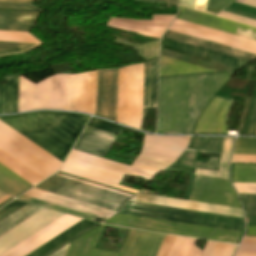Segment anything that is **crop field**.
I'll return each mask as SVG.
<instances>
[{
  "label": "crop field",
  "instance_id": "obj_1",
  "mask_svg": "<svg viewBox=\"0 0 256 256\" xmlns=\"http://www.w3.org/2000/svg\"><path fill=\"white\" fill-rule=\"evenodd\" d=\"M231 74L160 80L157 134H191L195 120Z\"/></svg>",
  "mask_w": 256,
  "mask_h": 256
},
{
  "label": "crop field",
  "instance_id": "obj_2",
  "mask_svg": "<svg viewBox=\"0 0 256 256\" xmlns=\"http://www.w3.org/2000/svg\"><path fill=\"white\" fill-rule=\"evenodd\" d=\"M89 116L67 112H32L0 120L63 162Z\"/></svg>",
  "mask_w": 256,
  "mask_h": 256
},
{
  "label": "crop field",
  "instance_id": "obj_3",
  "mask_svg": "<svg viewBox=\"0 0 256 256\" xmlns=\"http://www.w3.org/2000/svg\"><path fill=\"white\" fill-rule=\"evenodd\" d=\"M103 229L99 225L71 242L65 256H124L136 230H129L119 253H115L94 249ZM165 236L138 230L126 256H156Z\"/></svg>",
  "mask_w": 256,
  "mask_h": 256
},
{
  "label": "crop field",
  "instance_id": "obj_4",
  "mask_svg": "<svg viewBox=\"0 0 256 256\" xmlns=\"http://www.w3.org/2000/svg\"><path fill=\"white\" fill-rule=\"evenodd\" d=\"M0 151L43 180L57 171L62 163L2 121Z\"/></svg>",
  "mask_w": 256,
  "mask_h": 256
},
{
  "label": "crop field",
  "instance_id": "obj_5",
  "mask_svg": "<svg viewBox=\"0 0 256 256\" xmlns=\"http://www.w3.org/2000/svg\"><path fill=\"white\" fill-rule=\"evenodd\" d=\"M107 224L236 244L240 232L117 213Z\"/></svg>",
  "mask_w": 256,
  "mask_h": 256
},
{
  "label": "crop field",
  "instance_id": "obj_6",
  "mask_svg": "<svg viewBox=\"0 0 256 256\" xmlns=\"http://www.w3.org/2000/svg\"><path fill=\"white\" fill-rule=\"evenodd\" d=\"M68 75L57 74L36 85L20 76L18 112L66 110Z\"/></svg>",
  "mask_w": 256,
  "mask_h": 256
},
{
  "label": "crop field",
  "instance_id": "obj_7",
  "mask_svg": "<svg viewBox=\"0 0 256 256\" xmlns=\"http://www.w3.org/2000/svg\"><path fill=\"white\" fill-rule=\"evenodd\" d=\"M121 213L193 223L225 229L244 230L243 219L128 202Z\"/></svg>",
  "mask_w": 256,
  "mask_h": 256
},
{
  "label": "crop field",
  "instance_id": "obj_8",
  "mask_svg": "<svg viewBox=\"0 0 256 256\" xmlns=\"http://www.w3.org/2000/svg\"><path fill=\"white\" fill-rule=\"evenodd\" d=\"M35 188L116 211L120 210L125 202L130 198L55 175Z\"/></svg>",
  "mask_w": 256,
  "mask_h": 256
},
{
  "label": "crop field",
  "instance_id": "obj_9",
  "mask_svg": "<svg viewBox=\"0 0 256 256\" xmlns=\"http://www.w3.org/2000/svg\"><path fill=\"white\" fill-rule=\"evenodd\" d=\"M69 158L113 170L119 173L151 180L172 161L139 155L131 167L72 150Z\"/></svg>",
  "mask_w": 256,
  "mask_h": 256
},
{
  "label": "crop field",
  "instance_id": "obj_10",
  "mask_svg": "<svg viewBox=\"0 0 256 256\" xmlns=\"http://www.w3.org/2000/svg\"><path fill=\"white\" fill-rule=\"evenodd\" d=\"M188 200L241 208L230 182L226 180L196 176Z\"/></svg>",
  "mask_w": 256,
  "mask_h": 256
},
{
  "label": "crop field",
  "instance_id": "obj_11",
  "mask_svg": "<svg viewBox=\"0 0 256 256\" xmlns=\"http://www.w3.org/2000/svg\"><path fill=\"white\" fill-rule=\"evenodd\" d=\"M144 63L127 67L125 125L141 131Z\"/></svg>",
  "mask_w": 256,
  "mask_h": 256
},
{
  "label": "crop field",
  "instance_id": "obj_12",
  "mask_svg": "<svg viewBox=\"0 0 256 256\" xmlns=\"http://www.w3.org/2000/svg\"><path fill=\"white\" fill-rule=\"evenodd\" d=\"M96 71L69 75L67 110L94 115Z\"/></svg>",
  "mask_w": 256,
  "mask_h": 256
},
{
  "label": "crop field",
  "instance_id": "obj_13",
  "mask_svg": "<svg viewBox=\"0 0 256 256\" xmlns=\"http://www.w3.org/2000/svg\"><path fill=\"white\" fill-rule=\"evenodd\" d=\"M118 69L97 71L95 115L116 122Z\"/></svg>",
  "mask_w": 256,
  "mask_h": 256
},
{
  "label": "crop field",
  "instance_id": "obj_14",
  "mask_svg": "<svg viewBox=\"0 0 256 256\" xmlns=\"http://www.w3.org/2000/svg\"><path fill=\"white\" fill-rule=\"evenodd\" d=\"M177 19L256 41V28L179 7Z\"/></svg>",
  "mask_w": 256,
  "mask_h": 256
},
{
  "label": "crop field",
  "instance_id": "obj_15",
  "mask_svg": "<svg viewBox=\"0 0 256 256\" xmlns=\"http://www.w3.org/2000/svg\"><path fill=\"white\" fill-rule=\"evenodd\" d=\"M130 201L243 218L242 211L238 208L204 204L186 200L137 194Z\"/></svg>",
  "mask_w": 256,
  "mask_h": 256
},
{
  "label": "crop field",
  "instance_id": "obj_16",
  "mask_svg": "<svg viewBox=\"0 0 256 256\" xmlns=\"http://www.w3.org/2000/svg\"><path fill=\"white\" fill-rule=\"evenodd\" d=\"M233 102L232 99L214 97L201 114L193 133L226 134L225 115Z\"/></svg>",
  "mask_w": 256,
  "mask_h": 256
},
{
  "label": "crop field",
  "instance_id": "obj_17",
  "mask_svg": "<svg viewBox=\"0 0 256 256\" xmlns=\"http://www.w3.org/2000/svg\"><path fill=\"white\" fill-rule=\"evenodd\" d=\"M188 138L145 135L141 154L175 161L186 148Z\"/></svg>",
  "mask_w": 256,
  "mask_h": 256
},
{
  "label": "crop field",
  "instance_id": "obj_18",
  "mask_svg": "<svg viewBox=\"0 0 256 256\" xmlns=\"http://www.w3.org/2000/svg\"><path fill=\"white\" fill-rule=\"evenodd\" d=\"M174 16L175 15L153 16L152 21L111 18L107 26L159 38Z\"/></svg>",
  "mask_w": 256,
  "mask_h": 256
},
{
  "label": "crop field",
  "instance_id": "obj_19",
  "mask_svg": "<svg viewBox=\"0 0 256 256\" xmlns=\"http://www.w3.org/2000/svg\"><path fill=\"white\" fill-rule=\"evenodd\" d=\"M79 220L80 218L66 215L2 256H25Z\"/></svg>",
  "mask_w": 256,
  "mask_h": 256
},
{
  "label": "crop field",
  "instance_id": "obj_20",
  "mask_svg": "<svg viewBox=\"0 0 256 256\" xmlns=\"http://www.w3.org/2000/svg\"><path fill=\"white\" fill-rule=\"evenodd\" d=\"M23 195H27V196H30V197H33V198L44 200V201H47V202H50V203L61 205V206L67 207V208L78 210V211L88 213V214H91V215H95V216L105 218V219L109 218L114 213H116V211H112V210H109V209H105V208H102V207H98V206H95V205H91V204H88V203H84V202H81V201H77V200H74V199H70V198H67V197H63V196H60V195H56V194L49 193V192H46V191H42V190L35 189V188L27 191Z\"/></svg>",
  "mask_w": 256,
  "mask_h": 256
},
{
  "label": "crop field",
  "instance_id": "obj_21",
  "mask_svg": "<svg viewBox=\"0 0 256 256\" xmlns=\"http://www.w3.org/2000/svg\"><path fill=\"white\" fill-rule=\"evenodd\" d=\"M96 225L97 223L82 219L26 256H48Z\"/></svg>",
  "mask_w": 256,
  "mask_h": 256
},
{
  "label": "crop field",
  "instance_id": "obj_22",
  "mask_svg": "<svg viewBox=\"0 0 256 256\" xmlns=\"http://www.w3.org/2000/svg\"><path fill=\"white\" fill-rule=\"evenodd\" d=\"M161 47L203 60L206 59L208 54H211V62H215L236 69H238L241 65H243L246 62L164 38L161 39Z\"/></svg>",
  "mask_w": 256,
  "mask_h": 256
},
{
  "label": "crop field",
  "instance_id": "obj_23",
  "mask_svg": "<svg viewBox=\"0 0 256 256\" xmlns=\"http://www.w3.org/2000/svg\"><path fill=\"white\" fill-rule=\"evenodd\" d=\"M41 12L0 8V30L28 32Z\"/></svg>",
  "mask_w": 256,
  "mask_h": 256
},
{
  "label": "crop field",
  "instance_id": "obj_24",
  "mask_svg": "<svg viewBox=\"0 0 256 256\" xmlns=\"http://www.w3.org/2000/svg\"><path fill=\"white\" fill-rule=\"evenodd\" d=\"M164 38H168V39L175 40L178 42L186 43L189 45H193L196 47H200L203 49H207L210 51H214L217 53L232 56V57L239 58V59L246 60V61L256 57V55L252 54V53L244 52L241 50H237L234 48L219 45L216 43L201 40L198 38H194L191 36H187V35L176 33V32L169 31V30H167L166 34L164 35Z\"/></svg>",
  "mask_w": 256,
  "mask_h": 256
},
{
  "label": "crop field",
  "instance_id": "obj_25",
  "mask_svg": "<svg viewBox=\"0 0 256 256\" xmlns=\"http://www.w3.org/2000/svg\"><path fill=\"white\" fill-rule=\"evenodd\" d=\"M158 60L145 63L143 108H156Z\"/></svg>",
  "mask_w": 256,
  "mask_h": 256
},
{
  "label": "crop field",
  "instance_id": "obj_26",
  "mask_svg": "<svg viewBox=\"0 0 256 256\" xmlns=\"http://www.w3.org/2000/svg\"><path fill=\"white\" fill-rule=\"evenodd\" d=\"M112 141L82 133L74 150L104 158Z\"/></svg>",
  "mask_w": 256,
  "mask_h": 256
},
{
  "label": "crop field",
  "instance_id": "obj_27",
  "mask_svg": "<svg viewBox=\"0 0 256 256\" xmlns=\"http://www.w3.org/2000/svg\"><path fill=\"white\" fill-rule=\"evenodd\" d=\"M202 72L214 71L161 56L160 76Z\"/></svg>",
  "mask_w": 256,
  "mask_h": 256
},
{
  "label": "crop field",
  "instance_id": "obj_28",
  "mask_svg": "<svg viewBox=\"0 0 256 256\" xmlns=\"http://www.w3.org/2000/svg\"><path fill=\"white\" fill-rule=\"evenodd\" d=\"M30 186V184L0 165V188L5 192L14 197Z\"/></svg>",
  "mask_w": 256,
  "mask_h": 256
},
{
  "label": "crop field",
  "instance_id": "obj_29",
  "mask_svg": "<svg viewBox=\"0 0 256 256\" xmlns=\"http://www.w3.org/2000/svg\"><path fill=\"white\" fill-rule=\"evenodd\" d=\"M234 154H256V138H236ZM232 162L256 163V155H234Z\"/></svg>",
  "mask_w": 256,
  "mask_h": 256
},
{
  "label": "crop field",
  "instance_id": "obj_30",
  "mask_svg": "<svg viewBox=\"0 0 256 256\" xmlns=\"http://www.w3.org/2000/svg\"><path fill=\"white\" fill-rule=\"evenodd\" d=\"M222 137H192L186 151L220 154Z\"/></svg>",
  "mask_w": 256,
  "mask_h": 256
},
{
  "label": "crop field",
  "instance_id": "obj_31",
  "mask_svg": "<svg viewBox=\"0 0 256 256\" xmlns=\"http://www.w3.org/2000/svg\"><path fill=\"white\" fill-rule=\"evenodd\" d=\"M41 209L42 207H38L30 204L21 208L20 210H18L17 212H15L11 216L7 217L6 219L0 222V235L5 233L6 231H8L12 227L19 224L20 222H22L23 220L30 217L31 215H33L34 213H36Z\"/></svg>",
  "mask_w": 256,
  "mask_h": 256
},
{
  "label": "crop field",
  "instance_id": "obj_32",
  "mask_svg": "<svg viewBox=\"0 0 256 256\" xmlns=\"http://www.w3.org/2000/svg\"><path fill=\"white\" fill-rule=\"evenodd\" d=\"M0 163L13 171L15 174L32 184L33 186L38 184L39 182L43 181L34 174H32L30 171L7 157L5 154L0 152Z\"/></svg>",
  "mask_w": 256,
  "mask_h": 256
},
{
  "label": "crop field",
  "instance_id": "obj_33",
  "mask_svg": "<svg viewBox=\"0 0 256 256\" xmlns=\"http://www.w3.org/2000/svg\"><path fill=\"white\" fill-rule=\"evenodd\" d=\"M232 177L234 182L256 183V165L233 164Z\"/></svg>",
  "mask_w": 256,
  "mask_h": 256
},
{
  "label": "crop field",
  "instance_id": "obj_34",
  "mask_svg": "<svg viewBox=\"0 0 256 256\" xmlns=\"http://www.w3.org/2000/svg\"><path fill=\"white\" fill-rule=\"evenodd\" d=\"M19 76L6 84L4 114L17 112Z\"/></svg>",
  "mask_w": 256,
  "mask_h": 256
},
{
  "label": "crop field",
  "instance_id": "obj_35",
  "mask_svg": "<svg viewBox=\"0 0 256 256\" xmlns=\"http://www.w3.org/2000/svg\"><path fill=\"white\" fill-rule=\"evenodd\" d=\"M236 245L208 241L201 256H232Z\"/></svg>",
  "mask_w": 256,
  "mask_h": 256
},
{
  "label": "crop field",
  "instance_id": "obj_36",
  "mask_svg": "<svg viewBox=\"0 0 256 256\" xmlns=\"http://www.w3.org/2000/svg\"><path fill=\"white\" fill-rule=\"evenodd\" d=\"M126 67L119 69L117 122L124 125Z\"/></svg>",
  "mask_w": 256,
  "mask_h": 256
},
{
  "label": "crop field",
  "instance_id": "obj_37",
  "mask_svg": "<svg viewBox=\"0 0 256 256\" xmlns=\"http://www.w3.org/2000/svg\"><path fill=\"white\" fill-rule=\"evenodd\" d=\"M231 2H233V0H208L207 4V0H196L194 9L215 15V13L219 12L221 9L229 5ZM205 8L207 11L215 13L207 12L205 11Z\"/></svg>",
  "mask_w": 256,
  "mask_h": 256
},
{
  "label": "crop field",
  "instance_id": "obj_38",
  "mask_svg": "<svg viewBox=\"0 0 256 256\" xmlns=\"http://www.w3.org/2000/svg\"><path fill=\"white\" fill-rule=\"evenodd\" d=\"M235 3H239V4H243V5H247V6H251V7L256 8V0H237V1H235ZM216 16L224 18V19H228V20H231V21L239 22V23H242V24H246V25H249V26L256 27V20H252V19H249V18H245V17H242V16L231 14V13H228V12L222 11Z\"/></svg>",
  "mask_w": 256,
  "mask_h": 256
},
{
  "label": "crop field",
  "instance_id": "obj_39",
  "mask_svg": "<svg viewBox=\"0 0 256 256\" xmlns=\"http://www.w3.org/2000/svg\"><path fill=\"white\" fill-rule=\"evenodd\" d=\"M0 41L42 44L28 33L0 31Z\"/></svg>",
  "mask_w": 256,
  "mask_h": 256
},
{
  "label": "crop field",
  "instance_id": "obj_40",
  "mask_svg": "<svg viewBox=\"0 0 256 256\" xmlns=\"http://www.w3.org/2000/svg\"><path fill=\"white\" fill-rule=\"evenodd\" d=\"M233 137H223L222 150L218 171L228 173V165L231 153Z\"/></svg>",
  "mask_w": 256,
  "mask_h": 256
},
{
  "label": "crop field",
  "instance_id": "obj_41",
  "mask_svg": "<svg viewBox=\"0 0 256 256\" xmlns=\"http://www.w3.org/2000/svg\"><path fill=\"white\" fill-rule=\"evenodd\" d=\"M39 45L0 42V56L29 51Z\"/></svg>",
  "mask_w": 256,
  "mask_h": 256
},
{
  "label": "crop field",
  "instance_id": "obj_42",
  "mask_svg": "<svg viewBox=\"0 0 256 256\" xmlns=\"http://www.w3.org/2000/svg\"><path fill=\"white\" fill-rule=\"evenodd\" d=\"M158 47H159V40L135 47L133 49L138 52L136 55L148 61V60L158 58Z\"/></svg>",
  "mask_w": 256,
  "mask_h": 256
},
{
  "label": "crop field",
  "instance_id": "obj_43",
  "mask_svg": "<svg viewBox=\"0 0 256 256\" xmlns=\"http://www.w3.org/2000/svg\"><path fill=\"white\" fill-rule=\"evenodd\" d=\"M236 256H256V237H244Z\"/></svg>",
  "mask_w": 256,
  "mask_h": 256
},
{
  "label": "crop field",
  "instance_id": "obj_44",
  "mask_svg": "<svg viewBox=\"0 0 256 256\" xmlns=\"http://www.w3.org/2000/svg\"><path fill=\"white\" fill-rule=\"evenodd\" d=\"M88 127L100 129V130L115 133V134H117L122 129V126H119L110 122H106L94 117L88 124Z\"/></svg>",
  "mask_w": 256,
  "mask_h": 256
},
{
  "label": "crop field",
  "instance_id": "obj_45",
  "mask_svg": "<svg viewBox=\"0 0 256 256\" xmlns=\"http://www.w3.org/2000/svg\"><path fill=\"white\" fill-rule=\"evenodd\" d=\"M19 199H23V200H26V201H29V202H32V203H35V204H38V205L46 206V207L57 209V210H60V211L68 212V213L80 216L82 218H85V219H88V220H91V221H93V219H94V216L83 214V213H80V212H77V211H73V210H70V209L59 207V206L49 204V203H46V202H42V201H39V200H35V199L29 198V197L22 196Z\"/></svg>",
  "mask_w": 256,
  "mask_h": 256
},
{
  "label": "crop field",
  "instance_id": "obj_46",
  "mask_svg": "<svg viewBox=\"0 0 256 256\" xmlns=\"http://www.w3.org/2000/svg\"><path fill=\"white\" fill-rule=\"evenodd\" d=\"M245 215H256V195L254 194H239Z\"/></svg>",
  "mask_w": 256,
  "mask_h": 256
},
{
  "label": "crop field",
  "instance_id": "obj_47",
  "mask_svg": "<svg viewBox=\"0 0 256 256\" xmlns=\"http://www.w3.org/2000/svg\"><path fill=\"white\" fill-rule=\"evenodd\" d=\"M196 239L186 238L178 256H200L202 251L194 246Z\"/></svg>",
  "mask_w": 256,
  "mask_h": 256
},
{
  "label": "crop field",
  "instance_id": "obj_48",
  "mask_svg": "<svg viewBox=\"0 0 256 256\" xmlns=\"http://www.w3.org/2000/svg\"><path fill=\"white\" fill-rule=\"evenodd\" d=\"M26 204L27 203L18 200H14L11 203L7 204L6 206L0 209V221L14 213L21 207L25 206Z\"/></svg>",
  "mask_w": 256,
  "mask_h": 256
},
{
  "label": "crop field",
  "instance_id": "obj_49",
  "mask_svg": "<svg viewBox=\"0 0 256 256\" xmlns=\"http://www.w3.org/2000/svg\"><path fill=\"white\" fill-rule=\"evenodd\" d=\"M238 193H256V184L233 183Z\"/></svg>",
  "mask_w": 256,
  "mask_h": 256
},
{
  "label": "crop field",
  "instance_id": "obj_50",
  "mask_svg": "<svg viewBox=\"0 0 256 256\" xmlns=\"http://www.w3.org/2000/svg\"><path fill=\"white\" fill-rule=\"evenodd\" d=\"M195 175L228 180V174L219 173V172H212V171H206V170H200V169L196 170V174Z\"/></svg>",
  "mask_w": 256,
  "mask_h": 256
},
{
  "label": "crop field",
  "instance_id": "obj_51",
  "mask_svg": "<svg viewBox=\"0 0 256 256\" xmlns=\"http://www.w3.org/2000/svg\"><path fill=\"white\" fill-rule=\"evenodd\" d=\"M84 133H88V134L95 135V136L112 140V141H114V139L116 138V135H112V134L105 133V132L88 128V127H86V129L84 130Z\"/></svg>",
  "mask_w": 256,
  "mask_h": 256
},
{
  "label": "crop field",
  "instance_id": "obj_52",
  "mask_svg": "<svg viewBox=\"0 0 256 256\" xmlns=\"http://www.w3.org/2000/svg\"><path fill=\"white\" fill-rule=\"evenodd\" d=\"M174 238L175 237H171V236L166 237L158 256H167V253L171 247V244H172Z\"/></svg>",
  "mask_w": 256,
  "mask_h": 256
},
{
  "label": "crop field",
  "instance_id": "obj_53",
  "mask_svg": "<svg viewBox=\"0 0 256 256\" xmlns=\"http://www.w3.org/2000/svg\"><path fill=\"white\" fill-rule=\"evenodd\" d=\"M0 7L2 8H18V9H34L38 10L28 4H20V3H4L0 2Z\"/></svg>",
  "mask_w": 256,
  "mask_h": 256
},
{
  "label": "crop field",
  "instance_id": "obj_54",
  "mask_svg": "<svg viewBox=\"0 0 256 256\" xmlns=\"http://www.w3.org/2000/svg\"><path fill=\"white\" fill-rule=\"evenodd\" d=\"M195 0H167L166 4L180 5L188 8L194 7Z\"/></svg>",
  "mask_w": 256,
  "mask_h": 256
},
{
  "label": "crop field",
  "instance_id": "obj_55",
  "mask_svg": "<svg viewBox=\"0 0 256 256\" xmlns=\"http://www.w3.org/2000/svg\"><path fill=\"white\" fill-rule=\"evenodd\" d=\"M255 133H256V101H255V105H254V109H253V113H252V117H251V121H250V125H249L247 134H255Z\"/></svg>",
  "mask_w": 256,
  "mask_h": 256
},
{
  "label": "crop field",
  "instance_id": "obj_56",
  "mask_svg": "<svg viewBox=\"0 0 256 256\" xmlns=\"http://www.w3.org/2000/svg\"><path fill=\"white\" fill-rule=\"evenodd\" d=\"M245 236H256V226H247Z\"/></svg>",
  "mask_w": 256,
  "mask_h": 256
},
{
  "label": "crop field",
  "instance_id": "obj_57",
  "mask_svg": "<svg viewBox=\"0 0 256 256\" xmlns=\"http://www.w3.org/2000/svg\"><path fill=\"white\" fill-rule=\"evenodd\" d=\"M4 85H0V114H2Z\"/></svg>",
  "mask_w": 256,
  "mask_h": 256
},
{
  "label": "crop field",
  "instance_id": "obj_58",
  "mask_svg": "<svg viewBox=\"0 0 256 256\" xmlns=\"http://www.w3.org/2000/svg\"><path fill=\"white\" fill-rule=\"evenodd\" d=\"M68 246H69V244L67 246L63 247L62 249H60L59 251L55 252L51 256H64Z\"/></svg>",
  "mask_w": 256,
  "mask_h": 256
},
{
  "label": "crop field",
  "instance_id": "obj_59",
  "mask_svg": "<svg viewBox=\"0 0 256 256\" xmlns=\"http://www.w3.org/2000/svg\"><path fill=\"white\" fill-rule=\"evenodd\" d=\"M0 1H4V2H20V3H28L32 0H0Z\"/></svg>",
  "mask_w": 256,
  "mask_h": 256
},
{
  "label": "crop field",
  "instance_id": "obj_60",
  "mask_svg": "<svg viewBox=\"0 0 256 256\" xmlns=\"http://www.w3.org/2000/svg\"><path fill=\"white\" fill-rule=\"evenodd\" d=\"M9 197H10V196L7 195V196H5L4 198L0 199V203L3 202V201H5V200L8 199Z\"/></svg>",
  "mask_w": 256,
  "mask_h": 256
},
{
  "label": "crop field",
  "instance_id": "obj_61",
  "mask_svg": "<svg viewBox=\"0 0 256 256\" xmlns=\"http://www.w3.org/2000/svg\"><path fill=\"white\" fill-rule=\"evenodd\" d=\"M5 195L7 194H5L3 191L0 190V198L4 197Z\"/></svg>",
  "mask_w": 256,
  "mask_h": 256
},
{
  "label": "crop field",
  "instance_id": "obj_62",
  "mask_svg": "<svg viewBox=\"0 0 256 256\" xmlns=\"http://www.w3.org/2000/svg\"><path fill=\"white\" fill-rule=\"evenodd\" d=\"M147 1H159V2H165V0H147Z\"/></svg>",
  "mask_w": 256,
  "mask_h": 256
}]
</instances>
